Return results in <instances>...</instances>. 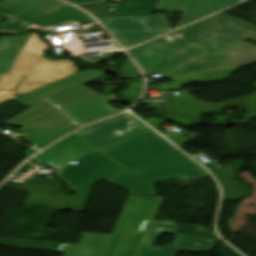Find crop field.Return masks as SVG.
Masks as SVG:
<instances>
[{"mask_svg": "<svg viewBox=\"0 0 256 256\" xmlns=\"http://www.w3.org/2000/svg\"><path fill=\"white\" fill-rule=\"evenodd\" d=\"M1 20V19H0Z\"/></svg>", "mask_w": 256, "mask_h": 256, "instance_id": "028f5c9d", "label": "crop field"}, {"mask_svg": "<svg viewBox=\"0 0 256 256\" xmlns=\"http://www.w3.org/2000/svg\"><path fill=\"white\" fill-rule=\"evenodd\" d=\"M175 233L218 239L213 230L190 224L177 223Z\"/></svg>", "mask_w": 256, "mask_h": 256, "instance_id": "bc2a9ffb", "label": "crop field"}, {"mask_svg": "<svg viewBox=\"0 0 256 256\" xmlns=\"http://www.w3.org/2000/svg\"><path fill=\"white\" fill-rule=\"evenodd\" d=\"M238 2L239 0H194L179 27L227 8Z\"/></svg>", "mask_w": 256, "mask_h": 256, "instance_id": "cbeb9de0", "label": "crop field"}, {"mask_svg": "<svg viewBox=\"0 0 256 256\" xmlns=\"http://www.w3.org/2000/svg\"><path fill=\"white\" fill-rule=\"evenodd\" d=\"M115 99L114 94H112L63 109V111L83 126L89 122L118 113V111L107 104L108 102L115 101Z\"/></svg>", "mask_w": 256, "mask_h": 256, "instance_id": "3316defc", "label": "crop field"}, {"mask_svg": "<svg viewBox=\"0 0 256 256\" xmlns=\"http://www.w3.org/2000/svg\"><path fill=\"white\" fill-rule=\"evenodd\" d=\"M162 199L128 196L103 256H136Z\"/></svg>", "mask_w": 256, "mask_h": 256, "instance_id": "412701ff", "label": "crop field"}, {"mask_svg": "<svg viewBox=\"0 0 256 256\" xmlns=\"http://www.w3.org/2000/svg\"><path fill=\"white\" fill-rule=\"evenodd\" d=\"M29 27L30 25L7 19L0 27V32H22Z\"/></svg>", "mask_w": 256, "mask_h": 256, "instance_id": "00972430", "label": "crop field"}, {"mask_svg": "<svg viewBox=\"0 0 256 256\" xmlns=\"http://www.w3.org/2000/svg\"><path fill=\"white\" fill-rule=\"evenodd\" d=\"M178 35H179V34L175 33V34L170 35V36H167V37H165V38L175 43V41H176Z\"/></svg>", "mask_w": 256, "mask_h": 256, "instance_id": "120bbe31", "label": "crop field"}, {"mask_svg": "<svg viewBox=\"0 0 256 256\" xmlns=\"http://www.w3.org/2000/svg\"><path fill=\"white\" fill-rule=\"evenodd\" d=\"M167 139H169L172 143H174L176 146H178L180 148V146L186 141L188 140L186 137L184 136H179L176 138L173 137H167Z\"/></svg>", "mask_w": 256, "mask_h": 256, "instance_id": "ae1a2a85", "label": "crop field"}, {"mask_svg": "<svg viewBox=\"0 0 256 256\" xmlns=\"http://www.w3.org/2000/svg\"><path fill=\"white\" fill-rule=\"evenodd\" d=\"M253 86H255V87H256V82L253 84Z\"/></svg>", "mask_w": 256, "mask_h": 256, "instance_id": "d32e631a", "label": "crop field"}, {"mask_svg": "<svg viewBox=\"0 0 256 256\" xmlns=\"http://www.w3.org/2000/svg\"><path fill=\"white\" fill-rule=\"evenodd\" d=\"M220 112L218 104L197 102L195 98L182 93L181 96L164 99V105L157 108V113L168 115L184 124H194L204 115Z\"/></svg>", "mask_w": 256, "mask_h": 256, "instance_id": "e52e79f7", "label": "crop field"}, {"mask_svg": "<svg viewBox=\"0 0 256 256\" xmlns=\"http://www.w3.org/2000/svg\"><path fill=\"white\" fill-rule=\"evenodd\" d=\"M254 116H256V103L252 106V108L249 110V112L247 114L243 115V117L245 119L250 118V117H254Z\"/></svg>", "mask_w": 256, "mask_h": 256, "instance_id": "750c4746", "label": "crop field"}, {"mask_svg": "<svg viewBox=\"0 0 256 256\" xmlns=\"http://www.w3.org/2000/svg\"><path fill=\"white\" fill-rule=\"evenodd\" d=\"M22 9L17 8L11 4L2 3L0 2V14L5 16H12L18 12H20Z\"/></svg>", "mask_w": 256, "mask_h": 256, "instance_id": "730fd06b", "label": "crop field"}, {"mask_svg": "<svg viewBox=\"0 0 256 256\" xmlns=\"http://www.w3.org/2000/svg\"><path fill=\"white\" fill-rule=\"evenodd\" d=\"M158 0H125L105 17L151 15Z\"/></svg>", "mask_w": 256, "mask_h": 256, "instance_id": "733c2abd", "label": "crop field"}, {"mask_svg": "<svg viewBox=\"0 0 256 256\" xmlns=\"http://www.w3.org/2000/svg\"><path fill=\"white\" fill-rule=\"evenodd\" d=\"M142 88H143V82L131 84L130 87L125 92V95L133 99H138L142 92Z\"/></svg>", "mask_w": 256, "mask_h": 256, "instance_id": "4177f3b9", "label": "crop field"}, {"mask_svg": "<svg viewBox=\"0 0 256 256\" xmlns=\"http://www.w3.org/2000/svg\"><path fill=\"white\" fill-rule=\"evenodd\" d=\"M5 2L11 3L24 10L37 12L48 15L68 4L58 0H6Z\"/></svg>", "mask_w": 256, "mask_h": 256, "instance_id": "4a817a6b", "label": "crop field"}, {"mask_svg": "<svg viewBox=\"0 0 256 256\" xmlns=\"http://www.w3.org/2000/svg\"><path fill=\"white\" fill-rule=\"evenodd\" d=\"M148 129L125 113L75 132L98 151Z\"/></svg>", "mask_w": 256, "mask_h": 256, "instance_id": "f4fd0767", "label": "crop field"}, {"mask_svg": "<svg viewBox=\"0 0 256 256\" xmlns=\"http://www.w3.org/2000/svg\"><path fill=\"white\" fill-rule=\"evenodd\" d=\"M102 76H104V73L99 70H88L80 72L35 92L22 96L14 101L31 107L49 96L78 86L82 83L90 82Z\"/></svg>", "mask_w": 256, "mask_h": 256, "instance_id": "5a996713", "label": "crop field"}, {"mask_svg": "<svg viewBox=\"0 0 256 256\" xmlns=\"http://www.w3.org/2000/svg\"><path fill=\"white\" fill-rule=\"evenodd\" d=\"M148 31L171 29L164 14L140 17Z\"/></svg>", "mask_w": 256, "mask_h": 256, "instance_id": "92a150f3", "label": "crop field"}, {"mask_svg": "<svg viewBox=\"0 0 256 256\" xmlns=\"http://www.w3.org/2000/svg\"><path fill=\"white\" fill-rule=\"evenodd\" d=\"M129 78L141 76L138 68L128 58L125 65L119 70Z\"/></svg>", "mask_w": 256, "mask_h": 256, "instance_id": "a9b5d70f", "label": "crop field"}, {"mask_svg": "<svg viewBox=\"0 0 256 256\" xmlns=\"http://www.w3.org/2000/svg\"><path fill=\"white\" fill-rule=\"evenodd\" d=\"M100 22L124 49L171 31L148 32L139 17L104 18Z\"/></svg>", "mask_w": 256, "mask_h": 256, "instance_id": "d8731c3e", "label": "crop field"}, {"mask_svg": "<svg viewBox=\"0 0 256 256\" xmlns=\"http://www.w3.org/2000/svg\"><path fill=\"white\" fill-rule=\"evenodd\" d=\"M13 18L40 26H58L66 21L78 23L94 21L89 15L70 5L49 16L24 11Z\"/></svg>", "mask_w": 256, "mask_h": 256, "instance_id": "d1516ede", "label": "crop field"}, {"mask_svg": "<svg viewBox=\"0 0 256 256\" xmlns=\"http://www.w3.org/2000/svg\"><path fill=\"white\" fill-rule=\"evenodd\" d=\"M240 68L173 78L171 79L172 83L159 84L157 85V87L161 91H170V90H180L186 84L197 82V81L202 83L223 82L228 77H230L232 73L239 70Z\"/></svg>", "mask_w": 256, "mask_h": 256, "instance_id": "22f410ed", "label": "crop field"}, {"mask_svg": "<svg viewBox=\"0 0 256 256\" xmlns=\"http://www.w3.org/2000/svg\"><path fill=\"white\" fill-rule=\"evenodd\" d=\"M215 118H217V121L213 123L212 125H218L221 121L231 119L230 117H224L221 115H217Z\"/></svg>", "mask_w": 256, "mask_h": 256, "instance_id": "1d83c4d3", "label": "crop field"}, {"mask_svg": "<svg viewBox=\"0 0 256 256\" xmlns=\"http://www.w3.org/2000/svg\"><path fill=\"white\" fill-rule=\"evenodd\" d=\"M176 223L153 222L137 256H177L180 251H211L217 240L174 234ZM165 232L176 235L174 243L152 248L156 237Z\"/></svg>", "mask_w": 256, "mask_h": 256, "instance_id": "dd49c442", "label": "crop field"}, {"mask_svg": "<svg viewBox=\"0 0 256 256\" xmlns=\"http://www.w3.org/2000/svg\"><path fill=\"white\" fill-rule=\"evenodd\" d=\"M218 253H220L222 256H240L225 244L222 246Z\"/></svg>", "mask_w": 256, "mask_h": 256, "instance_id": "eef30255", "label": "crop field"}, {"mask_svg": "<svg viewBox=\"0 0 256 256\" xmlns=\"http://www.w3.org/2000/svg\"><path fill=\"white\" fill-rule=\"evenodd\" d=\"M123 170L105 180L130 194L156 195L153 182L210 175L150 129L100 151Z\"/></svg>", "mask_w": 256, "mask_h": 256, "instance_id": "ac0d7876", "label": "crop field"}, {"mask_svg": "<svg viewBox=\"0 0 256 256\" xmlns=\"http://www.w3.org/2000/svg\"><path fill=\"white\" fill-rule=\"evenodd\" d=\"M24 49L40 55L30 75L55 74L59 72V67L57 68L55 61L43 58L45 51H48V46L37 38V33L31 34Z\"/></svg>", "mask_w": 256, "mask_h": 256, "instance_id": "5142ce71", "label": "crop field"}, {"mask_svg": "<svg viewBox=\"0 0 256 256\" xmlns=\"http://www.w3.org/2000/svg\"><path fill=\"white\" fill-rule=\"evenodd\" d=\"M0 1H2V2H3L4 0H0Z\"/></svg>", "mask_w": 256, "mask_h": 256, "instance_id": "5866460e", "label": "crop field"}, {"mask_svg": "<svg viewBox=\"0 0 256 256\" xmlns=\"http://www.w3.org/2000/svg\"><path fill=\"white\" fill-rule=\"evenodd\" d=\"M254 101H256V93L239 97L235 100L225 101L224 105H225V108L237 107L243 111H246Z\"/></svg>", "mask_w": 256, "mask_h": 256, "instance_id": "dafd665d", "label": "crop field"}, {"mask_svg": "<svg viewBox=\"0 0 256 256\" xmlns=\"http://www.w3.org/2000/svg\"><path fill=\"white\" fill-rule=\"evenodd\" d=\"M193 0H159L154 10L184 11L188 10Z\"/></svg>", "mask_w": 256, "mask_h": 256, "instance_id": "214f88e0", "label": "crop field"}, {"mask_svg": "<svg viewBox=\"0 0 256 256\" xmlns=\"http://www.w3.org/2000/svg\"><path fill=\"white\" fill-rule=\"evenodd\" d=\"M146 123H148L149 125H151L152 127H157L161 124H164L166 122L160 121L158 119L152 118V119H148V120H144Z\"/></svg>", "mask_w": 256, "mask_h": 256, "instance_id": "d3111659", "label": "crop field"}, {"mask_svg": "<svg viewBox=\"0 0 256 256\" xmlns=\"http://www.w3.org/2000/svg\"><path fill=\"white\" fill-rule=\"evenodd\" d=\"M179 41L172 43L164 38L129 51L148 75L155 73L163 78L246 65L256 61V45L227 37L204 25L196 23L178 31Z\"/></svg>", "mask_w": 256, "mask_h": 256, "instance_id": "8a807250", "label": "crop field"}, {"mask_svg": "<svg viewBox=\"0 0 256 256\" xmlns=\"http://www.w3.org/2000/svg\"><path fill=\"white\" fill-rule=\"evenodd\" d=\"M219 21L222 22L219 23ZM200 23L227 36L242 40L250 38L256 42V27L252 23H247L244 20L219 13Z\"/></svg>", "mask_w": 256, "mask_h": 256, "instance_id": "28ad6ade", "label": "crop field"}, {"mask_svg": "<svg viewBox=\"0 0 256 256\" xmlns=\"http://www.w3.org/2000/svg\"><path fill=\"white\" fill-rule=\"evenodd\" d=\"M28 38L29 35L0 38V74L9 71L19 49Z\"/></svg>", "mask_w": 256, "mask_h": 256, "instance_id": "d9b57169", "label": "crop field"}, {"mask_svg": "<svg viewBox=\"0 0 256 256\" xmlns=\"http://www.w3.org/2000/svg\"><path fill=\"white\" fill-rule=\"evenodd\" d=\"M31 160L47 163L58 171L78 162L55 174L76 192L122 170L74 133Z\"/></svg>", "mask_w": 256, "mask_h": 256, "instance_id": "34b2d1b8", "label": "crop field"}, {"mask_svg": "<svg viewBox=\"0 0 256 256\" xmlns=\"http://www.w3.org/2000/svg\"><path fill=\"white\" fill-rule=\"evenodd\" d=\"M65 1L73 4H82V3H87V2L96 1V0H65Z\"/></svg>", "mask_w": 256, "mask_h": 256, "instance_id": "bd1437ed", "label": "crop field"}]
</instances>
